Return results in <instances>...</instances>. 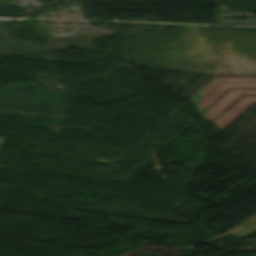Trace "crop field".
Instances as JSON below:
<instances>
[{"mask_svg": "<svg viewBox=\"0 0 256 256\" xmlns=\"http://www.w3.org/2000/svg\"><path fill=\"white\" fill-rule=\"evenodd\" d=\"M190 98L221 131L256 102V76H213Z\"/></svg>", "mask_w": 256, "mask_h": 256, "instance_id": "crop-field-1", "label": "crop field"}, {"mask_svg": "<svg viewBox=\"0 0 256 256\" xmlns=\"http://www.w3.org/2000/svg\"><path fill=\"white\" fill-rule=\"evenodd\" d=\"M255 222H256V215L254 217L248 219L247 221L241 223L240 225L236 226L235 228L229 230V232L236 234V233L240 232L241 230L247 228L248 226L252 225Z\"/></svg>", "mask_w": 256, "mask_h": 256, "instance_id": "crop-field-2", "label": "crop field"}]
</instances>
